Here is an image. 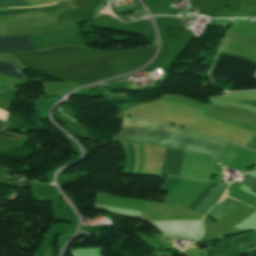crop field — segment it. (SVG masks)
<instances>
[{"mask_svg": "<svg viewBox=\"0 0 256 256\" xmlns=\"http://www.w3.org/2000/svg\"><path fill=\"white\" fill-rule=\"evenodd\" d=\"M255 71L256 63L221 54L211 73V79L232 82L230 90H256V78L253 77Z\"/></svg>", "mask_w": 256, "mask_h": 256, "instance_id": "2", "label": "crop field"}, {"mask_svg": "<svg viewBox=\"0 0 256 256\" xmlns=\"http://www.w3.org/2000/svg\"><path fill=\"white\" fill-rule=\"evenodd\" d=\"M10 90L4 89L2 87H0V96L7 98L8 94H9Z\"/></svg>", "mask_w": 256, "mask_h": 256, "instance_id": "12", "label": "crop field"}, {"mask_svg": "<svg viewBox=\"0 0 256 256\" xmlns=\"http://www.w3.org/2000/svg\"><path fill=\"white\" fill-rule=\"evenodd\" d=\"M30 4L22 0H0V7L28 6Z\"/></svg>", "mask_w": 256, "mask_h": 256, "instance_id": "9", "label": "crop field"}, {"mask_svg": "<svg viewBox=\"0 0 256 256\" xmlns=\"http://www.w3.org/2000/svg\"><path fill=\"white\" fill-rule=\"evenodd\" d=\"M184 153L185 152L166 149L161 174H171L179 176Z\"/></svg>", "mask_w": 256, "mask_h": 256, "instance_id": "5", "label": "crop field"}, {"mask_svg": "<svg viewBox=\"0 0 256 256\" xmlns=\"http://www.w3.org/2000/svg\"><path fill=\"white\" fill-rule=\"evenodd\" d=\"M18 137H19V135L0 131V138L5 140V141H9V142L15 143V141L18 139Z\"/></svg>", "mask_w": 256, "mask_h": 256, "instance_id": "10", "label": "crop field"}, {"mask_svg": "<svg viewBox=\"0 0 256 256\" xmlns=\"http://www.w3.org/2000/svg\"><path fill=\"white\" fill-rule=\"evenodd\" d=\"M5 124H6L5 122H3V121L0 120V129H1V130H4Z\"/></svg>", "mask_w": 256, "mask_h": 256, "instance_id": "13", "label": "crop field"}, {"mask_svg": "<svg viewBox=\"0 0 256 256\" xmlns=\"http://www.w3.org/2000/svg\"><path fill=\"white\" fill-rule=\"evenodd\" d=\"M0 73L6 76H13L22 81L23 75L19 71V69L11 64L0 62Z\"/></svg>", "mask_w": 256, "mask_h": 256, "instance_id": "7", "label": "crop field"}, {"mask_svg": "<svg viewBox=\"0 0 256 256\" xmlns=\"http://www.w3.org/2000/svg\"><path fill=\"white\" fill-rule=\"evenodd\" d=\"M226 200L234 202L236 204H238L239 202L232 200L230 198H226ZM222 201L219 204H217L214 208H212L210 210V212L206 215L208 217L213 218L215 221H217L218 219H220L224 214H226L229 210H231L234 206H236V204L228 202V201ZM212 219V220H213Z\"/></svg>", "mask_w": 256, "mask_h": 256, "instance_id": "6", "label": "crop field"}, {"mask_svg": "<svg viewBox=\"0 0 256 256\" xmlns=\"http://www.w3.org/2000/svg\"><path fill=\"white\" fill-rule=\"evenodd\" d=\"M122 126H131V127H144V128H150V129H157V130H163V131H169V132H176V133H182L187 134L220 146H225L226 142L217 138L193 133L187 130H183L180 128L164 125L161 123H157L150 120H142V119H126L123 118ZM131 127H122L121 134H142V135H148V136H154V137H160V138H166V139H172V140H178L183 141L198 147H201L203 149L215 152L220 154V152L223 150V147L187 136L182 134H176V133H169V132H163V131H157V130H150V129H144V128H131ZM142 135H121L119 142H140L145 143L149 145H155L165 148H170L174 150H181L186 151L188 153H192L195 155H199L205 158H208L210 160L215 161V159L218 157V154L200 149L198 147L178 142V141H172V140H166V139H160V138H154V137H148V136H142Z\"/></svg>", "mask_w": 256, "mask_h": 256, "instance_id": "1", "label": "crop field"}, {"mask_svg": "<svg viewBox=\"0 0 256 256\" xmlns=\"http://www.w3.org/2000/svg\"><path fill=\"white\" fill-rule=\"evenodd\" d=\"M218 183L211 182L189 205L188 207L194 208ZM227 184L219 183L195 208L194 210L206 214L207 210L217 203L225 189ZM226 191L218 202L224 199ZM226 197V196H225Z\"/></svg>", "mask_w": 256, "mask_h": 256, "instance_id": "3", "label": "crop field"}, {"mask_svg": "<svg viewBox=\"0 0 256 256\" xmlns=\"http://www.w3.org/2000/svg\"><path fill=\"white\" fill-rule=\"evenodd\" d=\"M47 5H49V4H47ZM56 7H57V4L56 5H50V6L31 7V8L19 7V8H22V9H9V11H0V15L14 14V13H24V12H35V11L56 9Z\"/></svg>", "mask_w": 256, "mask_h": 256, "instance_id": "8", "label": "crop field"}, {"mask_svg": "<svg viewBox=\"0 0 256 256\" xmlns=\"http://www.w3.org/2000/svg\"><path fill=\"white\" fill-rule=\"evenodd\" d=\"M36 50L29 35L0 37V53Z\"/></svg>", "mask_w": 256, "mask_h": 256, "instance_id": "4", "label": "crop field"}, {"mask_svg": "<svg viewBox=\"0 0 256 256\" xmlns=\"http://www.w3.org/2000/svg\"><path fill=\"white\" fill-rule=\"evenodd\" d=\"M243 182H245L246 184H248L249 186L253 187L254 189H256V180L250 178L248 176L247 179H245Z\"/></svg>", "mask_w": 256, "mask_h": 256, "instance_id": "11", "label": "crop field"}]
</instances>
